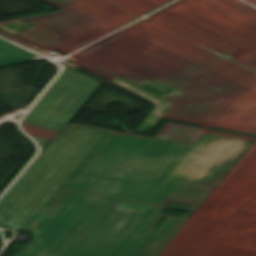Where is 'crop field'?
I'll return each mask as SVG.
<instances>
[{"label": "crop field", "instance_id": "1", "mask_svg": "<svg viewBox=\"0 0 256 256\" xmlns=\"http://www.w3.org/2000/svg\"><path fill=\"white\" fill-rule=\"evenodd\" d=\"M155 138L74 126L53 140L0 203V226L34 232L14 256H155L185 220L164 207L200 203L255 139L170 123Z\"/></svg>", "mask_w": 256, "mask_h": 256}, {"label": "crop field", "instance_id": "2", "mask_svg": "<svg viewBox=\"0 0 256 256\" xmlns=\"http://www.w3.org/2000/svg\"><path fill=\"white\" fill-rule=\"evenodd\" d=\"M99 83L82 73L68 69L22 123L37 125L58 134Z\"/></svg>", "mask_w": 256, "mask_h": 256}, {"label": "crop field", "instance_id": "3", "mask_svg": "<svg viewBox=\"0 0 256 256\" xmlns=\"http://www.w3.org/2000/svg\"><path fill=\"white\" fill-rule=\"evenodd\" d=\"M17 52H20V53L16 55L7 56V54H13ZM21 55H26V56L22 57ZM35 57L0 41V66L19 63V62H25L30 60H36Z\"/></svg>", "mask_w": 256, "mask_h": 256}, {"label": "crop field", "instance_id": "4", "mask_svg": "<svg viewBox=\"0 0 256 256\" xmlns=\"http://www.w3.org/2000/svg\"><path fill=\"white\" fill-rule=\"evenodd\" d=\"M22 127L26 132H28L31 135V137L40 136V137L52 139L56 135L40 127H36L28 124H22Z\"/></svg>", "mask_w": 256, "mask_h": 256}]
</instances>
